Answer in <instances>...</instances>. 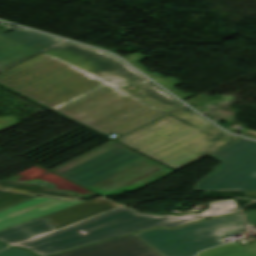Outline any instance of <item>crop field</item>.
<instances>
[{
    "instance_id": "8a807250",
    "label": "crop field",
    "mask_w": 256,
    "mask_h": 256,
    "mask_svg": "<svg viewBox=\"0 0 256 256\" xmlns=\"http://www.w3.org/2000/svg\"><path fill=\"white\" fill-rule=\"evenodd\" d=\"M110 54L64 42L0 73V83L104 135L122 134L180 105Z\"/></svg>"
},
{
    "instance_id": "ac0d7876",
    "label": "crop field",
    "mask_w": 256,
    "mask_h": 256,
    "mask_svg": "<svg viewBox=\"0 0 256 256\" xmlns=\"http://www.w3.org/2000/svg\"><path fill=\"white\" fill-rule=\"evenodd\" d=\"M208 205L209 208L200 214L181 217L137 213L123 206L62 230H57L41 217L0 231V241L9 246L25 247L39 256H47L154 226L175 227L240 211L234 200L209 202ZM79 230L88 234L82 235Z\"/></svg>"
},
{
    "instance_id": "34b2d1b8",
    "label": "crop field",
    "mask_w": 256,
    "mask_h": 256,
    "mask_svg": "<svg viewBox=\"0 0 256 256\" xmlns=\"http://www.w3.org/2000/svg\"><path fill=\"white\" fill-rule=\"evenodd\" d=\"M52 171L100 195L132 191L172 172L116 142Z\"/></svg>"
},
{
    "instance_id": "412701ff",
    "label": "crop field",
    "mask_w": 256,
    "mask_h": 256,
    "mask_svg": "<svg viewBox=\"0 0 256 256\" xmlns=\"http://www.w3.org/2000/svg\"><path fill=\"white\" fill-rule=\"evenodd\" d=\"M241 214L185 225L176 230L155 228L135 234L162 256H196L222 243L221 239L245 232Z\"/></svg>"
},
{
    "instance_id": "f4fd0767",
    "label": "crop field",
    "mask_w": 256,
    "mask_h": 256,
    "mask_svg": "<svg viewBox=\"0 0 256 256\" xmlns=\"http://www.w3.org/2000/svg\"><path fill=\"white\" fill-rule=\"evenodd\" d=\"M215 128L184 106L116 141L155 159Z\"/></svg>"
},
{
    "instance_id": "dd49c442",
    "label": "crop field",
    "mask_w": 256,
    "mask_h": 256,
    "mask_svg": "<svg viewBox=\"0 0 256 256\" xmlns=\"http://www.w3.org/2000/svg\"><path fill=\"white\" fill-rule=\"evenodd\" d=\"M209 157L222 164L194 191H256V142L242 139Z\"/></svg>"
},
{
    "instance_id": "e52e79f7",
    "label": "crop field",
    "mask_w": 256,
    "mask_h": 256,
    "mask_svg": "<svg viewBox=\"0 0 256 256\" xmlns=\"http://www.w3.org/2000/svg\"><path fill=\"white\" fill-rule=\"evenodd\" d=\"M38 194L65 199L97 196L58 175L34 166L0 182V211Z\"/></svg>"
},
{
    "instance_id": "d8731c3e",
    "label": "crop field",
    "mask_w": 256,
    "mask_h": 256,
    "mask_svg": "<svg viewBox=\"0 0 256 256\" xmlns=\"http://www.w3.org/2000/svg\"><path fill=\"white\" fill-rule=\"evenodd\" d=\"M239 138L217 128L155 160L177 170Z\"/></svg>"
},
{
    "instance_id": "5a996713",
    "label": "crop field",
    "mask_w": 256,
    "mask_h": 256,
    "mask_svg": "<svg viewBox=\"0 0 256 256\" xmlns=\"http://www.w3.org/2000/svg\"><path fill=\"white\" fill-rule=\"evenodd\" d=\"M60 40L23 28L8 35L0 32V69Z\"/></svg>"
},
{
    "instance_id": "3316defc",
    "label": "crop field",
    "mask_w": 256,
    "mask_h": 256,
    "mask_svg": "<svg viewBox=\"0 0 256 256\" xmlns=\"http://www.w3.org/2000/svg\"><path fill=\"white\" fill-rule=\"evenodd\" d=\"M83 201L35 197L0 212V230L15 226Z\"/></svg>"
},
{
    "instance_id": "28ad6ade",
    "label": "crop field",
    "mask_w": 256,
    "mask_h": 256,
    "mask_svg": "<svg viewBox=\"0 0 256 256\" xmlns=\"http://www.w3.org/2000/svg\"><path fill=\"white\" fill-rule=\"evenodd\" d=\"M55 256H160L133 234Z\"/></svg>"
},
{
    "instance_id": "d1516ede",
    "label": "crop field",
    "mask_w": 256,
    "mask_h": 256,
    "mask_svg": "<svg viewBox=\"0 0 256 256\" xmlns=\"http://www.w3.org/2000/svg\"><path fill=\"white\" fill-rule=\"evenodd\" d=\"M118 205L104 199H94L44 216L57 229L93 215L115 208Z\"/></svg>"
},
{
    "instance_id": "22f410ed",
    "label": "crop field",
    "mask_w": 256,
    "mask_h": 256,
    "mask_svg": "<svg viewBox=\"0 0 256 256\" xmlns=\"http://www.w3.org/2000/svg\"><path fill=\"white\" fill-rule=\"evenodd\" d=\"M199 256H256V242L242 247L234 241L206 250Z\"/></svg>"
},
{
    "instance_id": "cbeb9de0",
    "label": "crop field",
    "mask_w": 256,
    "mask_h": 256,
    "mask_svg": "<svg viewBox=\"0 0 256 256\" xmlns=\"http://www.w3.org/2000/svg\"><path fill=\"white\" fill-rule=\"evenodd\" d=\"M0 256H34L26 250L7 248L0 252Z\"/></svg>"
},
{
    "instance_id": "5142ce71",
    "label": "crop field",
    "mask_w": 256,
    "mask_h": 256,
    "mask_svg": "<svg viewBox=\"0 0 256 256\" xmlns=\"http://www.w3.org/2000/svg\"><path fill=\"white\" fill-rule=\"evenodd\" d=\"M245 214H246L247 222L249 224H252V225L256 226V212L245 213Z\"/></svg>"
},
{
    "instance_id": "d9b57169",
    "label": "crop field",
    "mask_w": 256,
    "mask_h": 256,
    "mask_svg": "<svg viewBox=\"0 0 256 256\" xmlns=\"http://www.w3.org/2000/svg\"><path fill=\"white\" fill-rule=\"evenodd\" d=\"M245 193L251 197H256V192H245Z\"/></svg>"
},
{
    "instance_id": "733c2abd",
    "label": "crop field",
    "mask_w": 256,
    "mask_h": 256,
    "mask_svg": "<svg viewBox=\"0 0 256 256\" xmlns=\"http://www.w3.org/2000/svg\"><path fill=\"white\" fill-rule=\"evenodd\" d=\"M4 248L3 246L0 245V249Z\"/></svg>"
}]
</instances>
